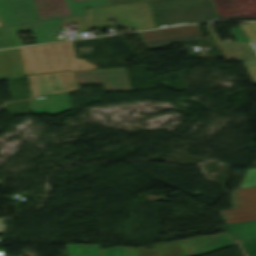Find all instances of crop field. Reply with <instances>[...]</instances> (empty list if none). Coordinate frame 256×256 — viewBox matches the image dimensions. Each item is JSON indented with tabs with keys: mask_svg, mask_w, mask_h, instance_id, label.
Masks as SVG:
<instances>
[{
	"mask_svg": "<svg viewBox=\"0 0 256 256\" xmlns=\"http://www.w3.org/2000/svg\"><path fill=\"white\" fill-rule=\"evenodd\" d=\"M139 35L148 49L195 41L201 38L195 26L141 32Z\"/></svg>",
	"mask_w": 256,
	"mask_h": 256,
	"instance_id": "obj_6",
	"label": "crop field"
},
{
	"mask_svg": "<svg viewBox=\"0 0 256 256\" xmlns=\"http://www.w3.org/2000/svg\"><path fill=\"white\" fill-rule=\"evenodd\" d=\"M0 15L5 25L41 20L33 0H0Z\"/></svg>",
	"mask_w": 256,
	"mask_h": 256,
	"instance_id": "obj_9",
	"label": "crop field"
},
{
	"mask_svg": "<svg viewBox=\"0 0 256 256\" xmlns=\"http://www.w3.org/2000/svg\"><path fill=\"white\" fill-rule=\"evenodd\" d=\"M57 22H58L59 25H62L61 19L57 20ZM60 29H62V28H60ZM60 29H56V30L58 31Z\"/></svg>",
	"mask_w": 256,
	"mask_h": 256,
	"instance_id": "obj_21",
	"label": "crop field"
},
{
	"mask_svg": "<svg viewBox=\"0 0 256 256\" xmlns=\"http://www.w3.org/2000/svg\"><path fill=\"white\" fill-rule=\"evenodd\" d=\"M42 20L72 16L65 0H34Z\"/></svg>",
	"mask_w": 256,
	"mask_h": 256,
	"instance_id": "obj_13",
	"label": "crop field"
},
{
	"mask_svg": "<svg viewBox=\"0 0 256 256\" xmlns=\"http://www.w3.org/2000/svg\"><path fill=\"white\" fill-rule=\"evenodd\" d=\"M92 27L109 25L107 17L113 16L118 24L135 30L155 27L146 2L86 9Z\"/></svg>",
	"mask_w": 256,
	"mask_h": 256,
	"instance_id": "obj_3",
	"label": "crop field"
},
{
	"mask_svg": "<svg viewBox=\"0 0 256 256\" xmlns=\"http://www.w3.org/2000/svg\"><path fill=\"white\" fill-rule=\"evenodd\" d=\"M194 256L236 244L231 234L186 241Z\"/></svg>",
	"mask_w": 256,
	"mask_h": 256,
	"instance_id": "obj_11",
	"label": "crop field"
},
{
	"mask_svg": "<svg viewBox=\"0 0 256 256\" xmlns=\"http://www.w3.org/2000/svg\"><path fill=\"white\" fill-rule=\"evenodd\" d=\"M73 16L86 14L84 7L109 5L107 0H66Z\"/></svg>",
	"mask_w": 256,
	"mask_h": 256,
	"instance_id": "obj_15",
	"label": "crop field"
},
{
	"mask_svg": "<svg viewBox=\"0 0 256 256\" xmlns=\"http://www.w3.org/2000/svg\"><path fill=\"white\" fill-rule=\"evenodd\" d=\"M1 221H2V220H0V225H1Z\"/></svg>",
	"mask_w": 256,
	"mask_h": 256,
	"instance_id": "obj_22",
	"label": "crop field"
},
{
	"mask_svg": "<svg viewBox=\"0 0 256 256\" xmlns=\"http://www.w3.org/2000/svg\"><path fill=\"white\" fill-rule=\"evenodd\" d=\"M21 45L16 36L15 27L0 28V48L13 47Z\"/></svg>",
	"mask_w": 256,
	"mask_h": 256,
	"instance_id": "obj_17",
	"label": "crop field"
},
{
	"mask_svg": "<svg viewBox=\"0 0 256 256\" xmlns=\"http://www.w3.org/2000/svg\"><path fill=\"white\" fill-rule=\"evenodd\" d=\"M233 193L236 209L220 211L225 223L256 219V187Z\"/></svg>",
	"mask_w": 256,
	"mask_h": 256,
	"instance_id": "obj_8",
	"label": "crop field"
},
{
	"mask_svg": "<svg viewBox=\"0 0 256 256\" xmlns=\"http://www.w3.org/2000/svg\"><path fill=\"white\" fill-rule=\"evenodd\" d=\"M32 97L75 90L71 72H52L27 75Z\"/></svg>",
	"mask_w": 256,
	"mask_h": 256,
	"instance_id": "obj_5",
	"label": "crop field"
},
{
	"mask_svg": "<svg viewBox=\"0 0 256 256\" xmlns=\"http://www.w3.org/2000/svg\"><path fill=\"white\" fill-rule=\"evenodd\" d=\"M256 185V169H247L240 188Z\"/></svg>",
	"mask_w": 256,
	"mask_h": 256,
	"instance_id": "obj_18",
	"label": "crop field"
},
{
	"mask_svg": "<svg viewBox=\"0 0 256 256\" xmlns=\"http://www.w3.org/2000/svg\"><path fill=\"white\" fill-rule=\"evenodd\" d=\"M25 74L99 68L86 59H77L73 42L19 48Z\"/></svg>",
	"mask_w": 256,
	"mask_h": 256,
	"instance_id": "obj_1",
	"label": "crop field"
},
{
	"mask_svg": "<svg viewBox=\"0 0 256 256\" xmlns=\"http://www.w3.org/2000/svg\"><path fill=\"white\" fill-rule=\"evenodd\" d=\"M78 84L103 83L105 92L131 91L126 67L75 71Z\"/></svg>",
	"mask_w": 256,
	"mask_h": 256,
	"instance_id": "obj_4",
	"label": "crop field"
},
{
	"mask_svg": "<svg viewBox=\"0 0 256 256\" xmlns=\"http://www.w3.org/2000/svg\"><path fill=\"white\" fill-rule=\"evenodd\" d=\"M29 102L32 113L60 114L72 109L68 93L31 99Z\"/></svg>",
	"mask_w": 256,
	"mask_h": 256,
	"instance_id": "obj_10",
	"label": "crop field"
},
{
	"mask_svg": "<svg viewBox=\"0 0 256 256\" xmlns=\"http://www.w3.org/2000/svg\"><path fill=\"white\" fill-rule=\"evenodd\" d=\"M24 76L18 49L0 51V80Z\"/></svg>",
	"mask_w": 256,
	"mask_h": 256,
	"instance_id": "obj_12",
	"label": "crop field"
},
{
	"mask_svg": "<svg viewBox=\"0 0 256 256\" xmlns=\"http://www.w3.org/2000/svg\"><path fill=\"white\" fill-rule=\"evenodd\" d=\"M137 1H145V0H109L111 5L122 4V3H130V2H137Z\"/></svg>",
	"mask_w": 256,
	"mask_h": 256,
	"instance_id": "obj_20",
	"label": "crop field"
},
{
	"mask_svg": "<svg viewBox=\"0 0 256 256\" xmlns=\"http://www.w3.org/2000/svg\"><path fill=\"white\" fill-rule=\"evenodd\" d=\"M235 239L256 236V220L227 224Z\"/></svg>",
	"mask_w": 256,
	"mask_h": 256,
	"instance_id": "obj_14",
	"label": "crop field"
},
{
	"mask_svg": "<svg viewBox=\"0 0 256 256\" xmlns=\"http://www.w3.org/2000/svg\"><path fill=\"white\" fill-rule=\"evenodd\" d=\"M158 27L219 19L211 0L149 2Z\"/></svg>",
	"mask_w": 256,
	"mask_h": 256,
	"instance_id": "obj_2",
	"label": "crop field"
},
{
	"mask_svg": "<svg viewBox=\"0 0 256 256\" xmlns=\"http://www.w3.org/2000/svg\"><path fill=\"white\" fill-rule=\"evenodd\" d=\"M247 256H256V238L240 240Z\"/></svg>",
	"mask_w": 256,
	"mask_h": 256,
	"instance_id": "obj_19",
	"label": "crop field"
},
{
	"mask_svg": "<svg viewBox=\"0 0 256 256\" xmlns=\"http://www.w3.org/2000/svg\"><path fill=\"white\" fill-rule=\"evenodd\" d=\"M167 244L166 246H164ZM155 249L148 250L143 247L133 249L130 247H112L101 250L102 256H191L185 243L172 241L153 245Z\"/></svg>",
	"mask_w": 256,
	"mask_h": 256,
	"instance_id": "obj_7",
	"label": "crop field"
},
{
	"mask_svg": "<svg viewBox=\"0 0 256 256\" xmlns=\"http://www.w3.org/2000/svg\"><path fill=\"white\" fill-rule=\"evenodd\" d=\"M69 256H101L99 245L67 244Z\"/></svg>",
	"mask_w": 256,
	"mask_h": 256,
	"instance_id": "obj_16",
	"label": "crop field"
}]
</instances>
